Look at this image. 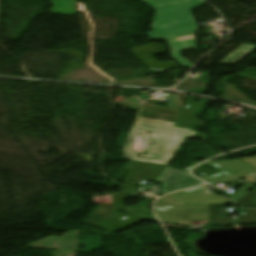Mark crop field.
<instances>
[{
	"label": "crop field",
	"mask_w": 256,
	"mask_h": 256,
	"mask_svg": "<svg viewBox=\"0 0 256 256\" xmlns=\"http://www.w3.org/2000/svg\"><path fill=\"white\" fill-rule=\"evenodd\" d=\"M241 160L247 162L248 164L254 166L256 168V156L255 157H249V158H242ZM246 180L247 182H251V183H255L256 184V172L246 176Z\"/></svg>",
	"instance_id": "18"
},
{
	"label": "crop field",
	"mask_w": 256,
	"mask_h": 256,
	"mask_svg": "<svg viewBox=\"0 0 256 256\" xmlns=\"http://www.w3.org/2000/svg\"><path fill=\"white\" fill-rule=\"evenodd\" d=\"M184 142L185 138L152 133L148 158L142 161L168 165Z\"/></svg>",
	"instance_id": "5"
},
{
	"label": "crop field",
	"mask_w": 256,
	"mask_h": 256,
	"mask_svg": "<svg viewBox=\"0 0 256 256\" xmlns=\"http://www.w3.org/2000/svg\"><path fill=\"white\" fill-rule=\"evenodd\" d=\"M98 209L95 210L94 215L87 221H84L97 228L104 229L116 233L126 227H129L143 219H139L132 216H124L117 210V206L114 205H98ZM100 217V218H94ZM119 226L117 229L115 227Z\"/></svg>",
	"instance_id": "4"
},
{
	"label": "crop field",
	"mask_w": 256,
	"mask_h": 256,
	"mask_svg": "<svg viewBox=\"0 0 256 256\" xmlns=\"http://www.w3.org/2000/svg\"><path fill=\"white\" fill-rule=\"evenodd\" d=\"M142 133V135H140ZM148 133H151L149 131H143L139 130L137 133V136L132 144L133 150H135V153H140V158H146L148 154V149L150 145L151 136H148Z\"/></svg>",
	"instance_id": "10"
},
{
	"label": "crop field",
	"mask_w": 256,
	"mask_h": 256,
	"mask_svg": "<svg viewBox=\"0 0 256 256\" xmlns=\"http://www.w3.org/2000/svg\"><path fill=\"white\" fill-rule=\"evenodd\" d=\"M111 195H113L115 204H120L121 211H125L129 214H133V215H136V216H139V217L151 220V221L158 222L156 218H151L149 216H146L142 213H139L133 209H130V208L124 206L123 199L129 198L128 192L123 191L122 193H116V194H111ZM111 195L103 197L104 203H102L101 197H95V198H93V200L95 203L113 204Z\"/></svg>",
	"instance_id": "9"
},
{
	"label": "crop field",
	"mask_w": 256,
	"mask_h": 256,
	"mask_svg": "<svg viewBox=\"0 0 256 256\" xmlns=\"http://www.w3.org/2000/svg\"><path fill=\"white\" fill-rule=\"evenodd\" d=\"M157 10L151 29V40L166 39L171 48V56L186 68L194 64L182 57L180 51L204 49L211 46L197 47L194 33L197 25L191 10L205 4L202 0H142Z\"/></svg>",
	"instance_id": "1"
},
{
	"label": "crop field",
	"mask_w": 256,
	"mask_h": 256,
	"mask_svg": "<svg viewBox=\"0 0 256 256\" xmlns=\"http://www.w3.org/2000/svg\"><path fill=\"white\" fill-rule=\"evenodd\" d=\"M133 55L150 68L155 74L178 66L174 61L161 62L153 56L166 53L165 47L159 44H150L131 48Z\"/></svg>",
	"instance_id": "7"
},
{
	"label": "crop field",
	"mask_w": 256,
	"mask_h": 256,
	"mask_svg": "<svg viewBox=\"0 0 256 256\" xmlns=\"http://www.w3.org/2000/svg\"><path fill=\"white\" fill-rule=\"evenodd\" d=\"M174 126V123L139 117L138 122L135 124V126L130 132V135L124 148L123 157L128 160L141 161V159H137L139 154H134V151L130 150L131 144L136 136L137 130L139 129L149 130L152 132H160L185 138H207V135L196 133L192 129L176 128Z\"/></svg>",
	"instance_id": "3"
},
{
	"label": "crop field",
	"mask_w": 256,
	"mask_h": 256,
	"mask_svg": "<svg viewBox=\"0 0 256 256\" xmlns=\"http://www.w3.org/2000/svg\"><path fill=\"white\" fill-rule=\"evenodd\" d=\"M238 211L240 218L236 221L237 224H255L256 209H234Z\"/></svg>",
	"instance_id": "14"
},
{
	"label": "crop field",
	"mask_w": 256,
	"mask_h": 256,
	"mask_svg": "<svg viewBox=\"0 0 256 256\" xmlns=\"http://www.w3.org/2000/svg\"><path fill=\"white\" fill-rule=\"evenodd\" d=\"M55 7L52 13L60 15H76L75 0H51Z\"/></svg>",
	"instance_id": "12"
},
{
	"label": "crop field",
	"mask_w": 256,
	"mask_h": 256,
	"mask_svg": "<svg viewBox=\"0 0 256 256\" xmlns=\"http://www.w3.org/2000/svg\"><path fill=\"white\" fill-rule=\"evenodd\" d=\"M237 182H242V183H247V182H244V181H241V180H236ZM255 184H251V183H247L244 187H242L239 191L229 195L231 198L233 199H238V198H242L244 197L247 193H248V190L254 186Z\"/></svg>",
	"instance_id": "17"
},
{
	"label": "crop field",
	"mask_w": 256,
	"mask_h": 256,
	"mask_svg": "<svg viewBox=\"0 0 256 256\" xmlns=\"http://www.w3.org/2000/svg\"><path fill=\"white\" fill-rule=\"evenodd\" d=\"M216 172H219V171L213 169L212 167H210L206 163L201 165V166H199V167H197L196 169H194L192 171V173L194 175H196L197 177H199V178L207 176V175H210V174H213V173H216Z\"/></svg>",
	"instance_id": "16"
},
{
	"label": "crop field",
	"mask_w": 256,
	"mask_h": 256,
	"mask_svg": "<svg viewBox=\"0 0 256 256\" xmlns=\"http://www.w3.org/2000/svg\"><path fill=\"white\" fill-rule=\"evenodd\" d=\"M255 47L256 45L254 44H244L239 49H237L234 53L228 56L225 60L219 63V65L236 64L244 56H246L250 51H252Z\"/></svg>",
	"instance_id": "13"
},
{
	"label": "crop field",
	"mask_w": 256,
	"mask_h": 256,
	"mask_svg": "<svg viewBox=\"0 0 256 256\" xmlns=\"http://www.w3.org/2000/svg\"><path fill=\"white\" fill-rule=\"evenodd\" d=\"M210 166L221 172L201 178L204 181L216 184L218 182L228 183L232 180L239 179L256 171V169L239 159L224 161H209Z\"/></svg>",
	"instance_id": "6"
},
{
	"label": "crop field",
	"mask_w": 256,
	"mask_h": 256,
	"mask_svg": "<svg viewBox=\"0 0 256 256\" xmlns=\"http://www.w3.org/2000/svg\"><path fill=\"white\" fill-rule=\"evenodd\" d=\"M211 225L228 226L234 225L233 220L228 219L227 208H210Z\"/></svg>",
	"instance_id": "11"
},
{
	"label": "crop field",
	"mask_w": 256,
	"mask_h": 256,
	"mask_svg": "<svg viewBox=\"0 0 256 256\" xmlns=\"http://www.w3.org/2000/svg\"><path fill=\"white\" fill-rule=\"evenodd\" d=\"M155 182H161L162 193L201 185L203 182L184 171L167 166Z\"/></svg>",
	"instance_id": "8"
},
{
	"label": "crop field",
	"mask_w": 256,
	"mask_h": 256,
	"mask_svg": "<svg viewBox=\"0 0 256 256\" xmlns=\"http://www.w3.org/2000/svg\"><path fill=\"white\" fill-rule=\"evenodd\" d=\"M144 106V105H143ZM142 109H143V107H142ZM142 111V110H141ZM141 114V113H140ZM140 116V115H139ZM143 117V116H142Z\"/></svg>",
	"instance_id": "19"
},
{
	"label": "crop field",
	"mask_w": 256,
	"mask_h": 256,
	"mask_svg": "<svg viewBox=\"0 0 256 256\" xmlns=\"http://www.w3.org/2000/svg\"><path fill=\"white\" fill-rule=\"evenodd\" d=\"M237 206H256V187L244 198L235 201Z\"/></svg>",
	"instance_id": "15"
},
{
	"label": "crop field",
	"mask_w": 256,
	"mask_h": 256,
	"mask_svg": "<svg viewBox=\"0 0 256 256\" xmlns=\"http://www.w3.org/2000/svg\"><path fill=\"white\" fill-rule=\"evenodd\" d=\"M156 203L154 210L161 221L191 226V220L208 221L209 205H227L232 201L203 186L169 194Z\"/></svg>",
	"instance_id": "2"
}]
</instances>
